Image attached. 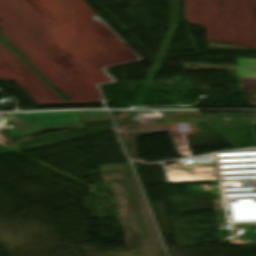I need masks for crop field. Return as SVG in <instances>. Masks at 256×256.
I'll list each match as a JSON object with an SVG mask.
<instances>
[{
	"mask_svg": "<svg viewBox=\"0 0 256 256\" xmlns=\"http://www.w3.org/2000/svg\"><path fill=\"white\" fill-rule=\"evenodd\" d=\"M79 115L83 122L110 121L106 112H81ZM9 118H16L21 133L12 134L14 139L49 130L83 128L77 113L12 114Z\"/></svg>",
	"mask_w": 256,
	"mask_h": 256,
	"instance_id": "crop-field-1",
	"label": "crop field"
},
{
	"mask_svg": "<svg viewBox=\"0 0 256 256\" xmlns=\"http://www.w3.org/2000/svg\"><path fill=\"white\" fill-rule=\"evenodd\" d=\"M240 77L256 79V60L237 59Z\"/></svg>",
	"mask_w": 256,
	"mask_h": 256,
	"instance_id": "crop-field-2",
	"label": "crop field"
}]
</instances>
